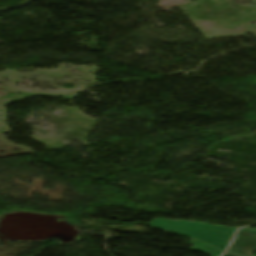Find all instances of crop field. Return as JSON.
Here are the masks:
<instances>
[{
	"mask_svg": "<svg viewBox=\"0 0 256 256\" xmlns=\"http://www.w3.org/2000/svg\"><path fill=\"white\" fill-rule=\"evenodd\" d=\"M150 225L170 230L187 237L207 242L225 251L226 246L237 229L219 227L189 221L154 219Z\"/></svg>",
	"mask_w": 256,
	"mask_h": 256,
	"instance_id": "1",
	"label": "crop field"
},
{
	"mask_svg": "<svg viewBox=\"0 0 256 256\" xmlns=\"http://www.w3.org/2000/svg\"><path fill=\"white\" fill-rule=\"evenodd\" d=\"M256 252V230L242 229L230 250L238 256H253Z\"/></svg>",
	"mask_w": 256,
	"mask_h": 256,
	"instance_id": "2",
	"label": "crop field"
},
{
	"mask_svg": "<svg viewBox=\"0 0 256 256\" xmlns=\"http://www.w3.org/2000/svg\"><path fill=\"white\" fill-rule=\"evenodd\" d=\"M191 243L195 245L192 248L193 251L205 252L211 256H219L221 253H223V252L213 248L212 246L204 244V243H200L197 241H191Z\"/></svg>",
	"mask_w": 256,
	"mask_h": 256,
	"instance_id": "3",
	"label": "crop field"
},
{
	"mask_svg": "<svg viewBox=\"0 0 256 256\" xmlns=\"http://www.w3.org/2000/svg\"><path fill=\"white\" fill-rule=\"evenodd\" d=\"M224 256H231V255L226 254V255H224Z\"/></svg>",
	"mask_w": 256,
	"mask_h": 256,
	"instance_id": "4",
	"label": "crop field"
}]
</instances>
